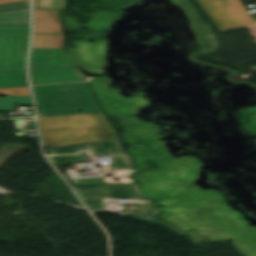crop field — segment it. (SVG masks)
<instances>
[{
  "label": "crop field",
  "instance_id": "obj_12",
  "mask_svg": "<svg viewBox=\"0 0 256 256\" xmlns=\"http://www.w3.org/2000/svg\"><path fill=\"white\" fill-rule=\"evenodd\" d=\"M63 35H34L33 48H62Z\"/></svg>",
  "mask_w": 256,
  "mask_h": 256
},
{
  "label": "crop field",
  "instance_id": "obj_21",
  "mask_svg": "<svg viewBox=\"0 0 256 256\" xmlns=\"http://www.w3.org/2000/svg\"><path fill=\"white\" fill-rule=\"evenodd\" d=\"M17 1H29V0H0V4L9 3V2H17Z\"/></svg>",
  "mask_w": 256,
  "mask_h": 256
},
{
  "label": "crop field",
  "instance_id": "obj_11",
  "mask_svg": "<svg viewBox=\"0 0 256 256\" xmlns=\"http://www.w3.org/2000/svg\"><path fill=\"white\" fill-rule=\"evenodd\" d=\"M28 86L25 69L0 71V88Z\"/></svg>",
  "mask_w": 256,
  "mask_h": 256
},
{
  "label": "crop field",
  "instance_id": "obj_4",
  "mask_svg": "<svg viewBox=\"0 0 256 256\" xmlns=\"http://www.w3.org/2000/svg\"><path fill=\"white\" fill-rule=\"evenodd\" d=\"M72 186L90 210L105 208V198L143 197L136 184H88Z\"/></svg>",
  "mask_w": 256,
  "mask_h": 256
},
{
  "label": "crop field",
  "instance_id": "obj_10",
  "mask_svg": "<svg viewBox=\"0 0 256 256\" xmlns=\"http://www.w3.org/2000/svg\"><path fill=\"white\" fill-rule=\"evenodd\" d=\"M138 204L142 205V208H144V209H152V207L148 205V201L146 199H140V203H138ZM157 214H158V212L146 210V212L141 213V214H126V216L131 219H135V220H139V221H143V222H147V223L165 227V228L171 230L173 233H175L179 237L184 235L183 233L176 230L172 226H170L167 223L163 222L162 220L156 218Z\"/></svg>",
  "mask_w": 256,
  "mask_h": 256
},
{
  "label": "crop field",
  "instance_id": "obj_18",
  "mask_svg": "<svg viewBox=\"0 0 256 256\" xmlns=\"http://www.w3.org/2000/svg\"><path fill=\"white\" fill-rule=\"evenodd\" d=\"M0 95L29 97V91H28V87L0 89Z\"/></svg>",
  "mask_w": 256,
  "mask_h": 256
},
{
  "label": "crop field",
  "instance_id": "obj_9",
  "mask_svg": "<svg viewBox=\"0 0 256 256\" xmlns=\"http://www.w3.org/2000/svg\"><path fill=\"white\" fill-rule=\"evenodd\" d=\"M34 33H62L58 12L34 9Z\"/></svg>",
  "mask_w": 256,
  "mask_h": 256
},
{
  "label": "crop field",
  "instance_id": "obj_13",
  "mask_svg": "<svg viewBox=\"0 0 256 256\" xmlns=\"http://www.w3.org/2000/svg\"><path fill=\"white\" fill-rule=\"evenodd\" d=\"M29 23V9L0 13V24Z\"/></svg>",
  "mask_w": 256,
  "mask_h": 256
},
{
  "label": "crop field",
  "instance_id": "obj_5",
  "mask_svg": "<svg viewBox=\"0 0 256 256\" xmlns=\"http://www.w3.org/2000/svg\"><path fill=\"white\" fill-rule=\"evenodd\" d=\"M89 148L93 156L110 155L114 168H133L129 155L123 154L118 139L87 144L47 149L53 155L78 153L77 150Z\"/></svg>",
  "mask_w": 256,
  "mask_h": 256
},
{
  "label": "crop field",
  "instance_id": "obj_2",
  "mask_svg": "<svg viewBox=\"0 0 256 256\" xmlns=\"http://www.w3.org/2000/svg\"><path fill=\"white\" fill-rule=\"evenodd\" d=\"M44 116L101 112L86 83L34 87Z\"/></svg>",
  "mask_w": 256,
  "mask_h": 256
},
{
  "label": "crop field",
  "instance_id": "obj_17",
  "mask_svg": "<svg viewBox=\"0 0 256 256\" xmlns=\"http://www.w3.org/2000/svg\"><path fill=\"white\" fill-rule=\"evenodd\" d=\"M0 33H29V24L0 25Z\"/></svg>",
  "mask_w": 256,
  "mask_h": 256
},
{
  "label": "crop field",
  "instance_id": "obj_1",
  "mask_svg": "<svg viewBox=\"0 0 256 256\" xmlns=\"http://www.w3.org/2000/svg\"><path fill=\"white\" fill-rule=\"evenodd\" d=\"M44 148L117 138L103 113L39 118Z\"/></svg>",
  "mask_w": 256,
  "mask_h": 256
},
{
  "label": "crop field",
  "instance_id": "obj_19",
  "mask_svg": "<svg viewBox=\"0 0 256 256\" xmlns=\"http://www.w3.org/2000/svg\"><path fill=\"white\" fill-rule=\"evenodd\" d=\"M29 8V2H18L0 5V12Z\"/></svg>",
  "mask_w": 256,
  "mask_h": 256
},
{
  "label": "crop field",
  "instance_id": "obj_22",
  "mask_svg": "<svg viewBox=\"0 0 256 256\" xmlns=\"http://www.w3.org/2000/svg\"><path fill=\"white\" fill-rule=\"evenodd\" d=\"M254 71H256V69H253Z\"/></svg>",
  "mask_w": 256,
  "mask_h": 256
},
{
  "label": "crop field",
  "instance_id": "obj_15",
  "mask_svg": "<svg viewBox=\"0 0 256 256\" xmlns=\"http://www.w3.org/2000/svg\"><path fill=\"white\" fill-rule=\"evenodd\" d=\"M14 103L32 104L30 98L7 96V98H0V112L12 110Z\"/></svg>",
  "mask_w": 256,
  "mask_h": 256
},
{
  "label": "crop field",
  "instance_id": "obj_7",
  "mask_svg": "<svg viewBox=\"0 0 256 256\" xmlns=\"http://www.w3.org/2000/svg\"><path fill=\"white\" fill-rule=\"evenodd\" d=\"M33 85L86 81L77 67L30 69Z\"/></svg>",
  "mask_w": 256,
  "mask_h": 256
},
{
  "label": "crop field",
  "instance_id": "obj_16",
  "mask_svg": "<svg viewBox=\"0 0 256 256\" xmlns=\"http://www.w3.org/2000/svg\"><path fill=\"white\" fill-rule=\"evenodd\" d=\"M35 7L61 10L65 8L64 0H34Z\"/></svg>",
  "mask_w": 256,
  "mask_h": 256
},
{
  "label": "crop field",
  "instance_id": "obj_8",
  "mask_svg": "<svg viewBox=\"0 0 256 256\" xmlns=\"http://www.w3.org/2000/svg\"><path fill=\"white\" fill-rule=\"evenodd\" d=\"M69 66L62 49H33L30 68Z\"/></svg>",
  "mask_w": 256,
  "mask_h": 256
},
{
  "label": "crop field",
  "instance_id": "obj_23",
  "mask_svg": "<svg viewBox=\"0 0 256 256\" xmlns=\"http://www.w3.org/2000/svg\"><path fill=\"white\" fill-rule=\"evenodd\" d=\"M255 5H256V3H255Z\"/></svg>",
  "mask_w": 256,
  "mask_h": 256
},
{
  "label": "crop field",
  "instance_id": "obj_6",
  "mask_svg": "<svg viewBox=\"0 0 256 256\" xmlns=\"http://www.w3.org/2000/svg\"><path fill=\"white\" fill-rule=\"evenodd\" d=\"M29 34L0 35V70L25 68Z\"/></svg>",
  "mask_w": 256,
  "mask_h": 256
},
{
  "label": "crop field",
  "instance_id": "obj_3",
  "mask_svg": "<svg viewBox=\"0 0 256 256\" xmlns=\"http://www.w3.org/2000/svg\"><path fill=\"white\" fill-rule=\"evenodd\" d=\"M220 30L256 24L239 0H197ZM206 12V13H207Z\"/></svg>",
  "mask_w": 256,
  "mask_h": 256
},
{
  "label": "crop field",
  "instance_id": "obj_14",
  "mask_svg": "<svg viewBox=\"0 0 256 256\" xmlns=\"http://www.w3.org/2000/svg\"><path fill=\"white\" fill-rule=\"evenodd\" d=\"M54 166L69 165L75 162H90L89 154L82 155H61L48 157Z\"/></svg>",
  "mask_w": 256,
  "mask_h": 256
},
{
  "label": "crop field",
  "instance_id": "obj_20",
  "mask_svg": "<svg viewBox=\"0 0 256 256\" xmlns=\"http://www.w3.org/2000/svg\"><path fill=\"white\" fill-rule=\"evenodd\" d=\"M71 184L105 183L103 178L70 180Z\"/></svg>",
  "mask_w": 256,
  "mask_h": 256
}]
</instances>
